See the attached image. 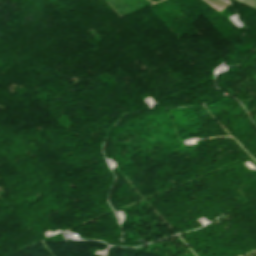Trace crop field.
Instances as JSON below:
<instances>
[{
  "mask_svg": "<svg viewBox=\"0 0 256 256\" xmlns=\"http://www.w3.org/2000/svg\"><path fill=\"white\" fill-rule=\"evenodd\" d=\"M204 1H206L208 4H210L212 7H214L218 11L228 5L221 0H204Z\"/></svg>",
  "mask_w": 256,
  "mask_h": 256,
  "instance_id": "obj_1",
  "label": "crop field"
},
{
  "mask_svg": "<svg viewBox=\"0 0 256 256\" xmlns=\"http://www.w3.org/2000/svg\"><path fill=\"white\" fill-rule=\"evenodd\" d=\"M239 1H242L244 3H247V4L251 5V6L256 7V0H239Z\"/></svg>",
  "mask_w": 256,
  "mask_h": 256,
  "instance_id": "obj_2",
  "label": "crop field"
}]
</instances>
